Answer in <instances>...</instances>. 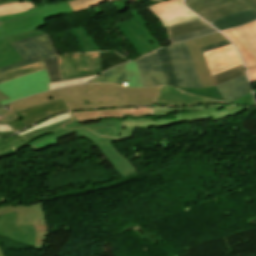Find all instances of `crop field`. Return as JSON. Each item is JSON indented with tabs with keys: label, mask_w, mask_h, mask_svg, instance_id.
<instances>
[{
	"label": "crop field",
	"mask_w": 256,
	"mask_h": 256,
	"mask_svg": "<svg viewBox=\"0 0 256 256\" xmlns=\"http://www.w3.org/2000/svg\"><path fill=\"white\" fill-rule=\"evenodd\" d=\"M121 119L101 120L99 123L83 125L75 128L64 129L60 132L41 137L26 146L35 150L57 145L56 140L65 137L74 132L78 136L88 139L94 144L91 147L98 146L112 165L121 175L136 172L135 165L120 155L112 142L118 141Z\"/></svg>",
	"instance_id": "crop-field-1"
},
{
	"label": "crop field",
	"mask_w": 256,
	"mask_h": 256,
	"mask_svg": "<svg viewBox=\"0 0 256 256\" xmlns=\"http://www.w3.org/2000/svg\"><path fill=\"white\" fill-rule=\"evenodd\" d=\"M31 1L0 6V39L46 26L44 20L72 13L69 4L57 3L36 9Z\"/></svg>",
	"instance_id": "crop-field-2"
},
{
	"label": "crop field",
	"mask_w": 256,
	"mask_h": 256,
	"mask_svg": "<svg viewBox=\"0 0 256 256\" xmlns=\"http://www.w3.org/2000/svg\"><path fill=\"white\" fill-rule=\"evenodd\" d=\"M249 108H243L234 105H205L186 108H174V111H181L172 118H127L122 119L119 141L132 138V130L134 127L139 128H164L179 125L181 123L196 122L204 119L210 121L223 119L235 115H239Z\"/></svg>",
	"instance_id": "crop-field-3"
},
{
	"label": "crop field",
	"mask_w": 256,
	"mask_h": 256,
	"mask_svg": "<svg viewBox=\"0 0 256 256\" xmlns=\"http://www.w3.org/2000/svg\"><path fill=\"white\" fill-rule=\"evenodd\" d=\"M160 87L125 88L113 84H89L88 93L115 92L119 93L121 102H98L90 103L89 100L68 103L69 110L95 108V107H118L142 104H157L160 95Z\"/></svg>",
	"instance_id": "crop-field-4"
},
{
	"label": "crop field",
	"mask_w": 256,
	"mask_h": 256,
	"mask_svg": "<svg viewBox=\"0 0 256 256\" xmlns=\"http://www.w3.org/2000/svg\"><path fill=\"white\" fill-rule=\"evenodd\" d=\"M88 84L70 87L66 89L55 90L51 92L41 93L37 96L29 97L10 104L16 111H21L30 107L48 103L62 98L64 103L89 99L90 102L98 101H120L119 95L114 93L104 94H86Z\"/></svg>",
	"instance_id": "crop-field-5"
},
{
	"label": "crop field",
	"mask_w": 256,
	"mask_h": 256,
	"mask_svg": "<svg viewBox=\"0 0 256 256\" xmlns=\"http://www.w3.org/2000/svg\"><path fill=\"white\" fill-rule=\"evenodd\" d=\"M11 45L25 61L0 69V74L41 62V57L58 54L47 33L11 43Z\"/></svg>",
	"instance_id": "crop-field-6"
},
{
	"label": "crop field",
	"mask_w": 256,
	"mask_h": 256,
	"mask_svg": "<svg viewBox=\"0 0 256 256\" xmlns=\"http://www.w3.org/2000/svg\"><path fill=\"white\" fill-rule=\"evenodd\" d=\"M185 4L207 21L250 8L256 11V0H185Z\"/></svg>",
	"instance_id": "crop-field-7"
},
{
	"label": "crop field",
	"mask_w": 256,
	"mask_h": 256,
	"mask_svg": "<svg viewBox=\"0 0 256 256\" xmlns=\"http://www.w3.org/2000/svg\"><path fill=\"white\" fill-rule=\"evenodd\" d=\"M61 80L99 74V54L84 53L58 56Z\"/></svg>",
	"instance_id": "crop-field-8"
},
{
	"label": "crop field",
	"mask_w": 256,
	"mask_h": 256,
	"mask_svg": "<svg viewBox=\"0 0 256 256\" xmlns=\"http://www.w3.org/2000/svg\"><path fill=\"white\" fill-rule=\"evenodd\" d=\"M18 210L17 225H35L36 241L35 249L43 250L48 236V225L46 215L43 211V204H32L29 206L17 205L15 207L5 206L0 208V214L10 213Z\"/></svg>",
	"instance_id": "crop-field-9"
},
{
	"label": "crop field",
	"mask_w": 256,
	"mask_h": 256,
	"mask_svg": "<svg viewBox=\"0 0 256 256\" xmlns=\"http://www.w3.org/2000/svg\"><path fill=\"white\" fill-rule=\"evenodd\" d=\"M170 53L178 87H202L186 43L167 46Z\"/></svg>",
	"instance_id": "crop-field-10"
},
{
	"label": "crop field",
	"mask_w": 256,
	"mask_h": 256,
	"mask_svg": "<svg viewBox=\"0 0 256 256\" xmlns=\"http://www.w3.org/2000/svg\"><path fill=\"white\" fill-rule=\"evenodd\" d=\"M49 79L46 71L37 72L0 84V91L11 98L0 101V105L10 101L48 90Z\"/></svg>",
	"instance_id": "crop-field-11"
},
{
	"label": "crop field",
	"mask_w": 256,
	"mask_h": 256,
	"mask_svg": "<svg viewBox=\"0 0 256 256\" xmlns=\"http://www.w3.org/2000/svg\"><path fill=\"white\" fill-rule=\"evenodd\" d=\"M222 32L236 45L247 67L256 66V21L244 27Z\"/></svg>",
	"instance_id": "crop-field-12"
},
{
	"label": "crop field",
	"mask_w": 256,
	"mask_h": 256,
	"mask_svg": "<svg viewBox=\"0 0 256 256\" xmlns=\"http://www.w3.org/2000/svg\"><path fill=\"white\" fill-rule=\"evenodd\" d=\"M70 114L73 118L64 120L62 122L56 123L46 128L39 129L22 136H19L17 134L10 138H0V159L7 155L17 153L22 147H24L25 144H27L32 140H35L38 137L70 127L71 123L77 122L72 112Z\"/></svg>",
	"instance_id": "crop-field-13"
},
{
	"label": "crop field",
	"mask_w": 256,
	"mask_h": 256,
	"mask_svg": "<svg viewBox=\"0 0 256 256\" xmlns=\"http://www.w3.org/2000/svg\"><path fill=\"white\" fill-rule=\"evenodd\" d=\"M184 7L182 0H169L148 6L149 10L159 18L164 27L198 18L195 14Z\"/></svg>",
	"instance_id": "crop-field-14"
},
{
	"label": "crop field",
	"mask_w": 256,
	"mask_h": 256,
	"mask_svg": "<svg viewBox=\"0 0 256 256\" xmlns=\"http://www.w3.org/2000/svg\"><path fill=\"white\" fill-rule=\"evenodd\" d=\"M223 40H226V38H224L220 33H216L186 42L203 87L212 86L214 84L200 48Z\"/></svg>",
	"instance_id": "crop-field-15"
},
{
	"label": "crop field",
	"mask_w": 256,
	"mask_h": 256,
	"mask_svg": "<svg viewBox=\"0 0 256 256\" xmlns=\"http://www.w3.org/2000/svg\"><path fill=\"white\" fill-rule=\"evenodd\" d=\"M211 75L242 65V61L233 45L204 52Z\"/></svg>",
	"instance_id": "crop-field-16"
},
{
	"label": "crop field",
	"mask_w": 256,
	"mask_h": 256,
	"mask_svg": "<svg viewBox=\"0 0 256 256\" xmlns=\"http://www.w3.org/2000/svg\"><path fill=\"white\" fill-rule=\"evenodd\" d=\"M16 212L0 216V235L34 247V226H16Z\"/></svg>",
	"instance_id": "crop-field-17"
},
{
	"label": "crop field",
	"mask_w": 256,
	"mask_h": 256,
	"mask_svg": "<svg viewBox=\"0 0 256 256\" xmlns=\"http://www.w3.org/2000/svg\"><path fill=\"white\" fill-rule=\"evenodd\" d=\"M144 86L166 85L161 63L157 52L136 60Z\"/></svg>",
	"instance_id": "crop-field-18"
},
{
	"label": "crop field",
	"mask_w": 256,
	"mask_h": 256,
	"mask_svg": "<svg viewBox=\"0 0 256 256\" xmlns=\"http://www.w3.org/2000/svg\"><path fill=\"white\" fill-rule=\"evenodd\" d=\"M64 110H68V108L65 106L62 99H60L48 104L18 112L22 119L10 125L13 130L18 131L50 114Z\"/></svg>",
	"instance_id": "crop-field-19"
},
{
	"label": "crop field",
	"mask_w": 256,
	"mask_h": 256,
	"mask_svg": "<svg viewBox=\"0 0 256 256\" xmlns=\"http://www.w3.org/2000/svg\"><path fill=\"white\" fill-rule=\"evenodd\" d=\"M138 25L140 24L135 19L117 24L133 48L142 56L156 50V47L148 40Z\"/></svg>",
	"instance_id": "crop-field-20"
},
{
	"label": "crop field",
	"mask_w": 256,
	"mask_h": 256,
	"mask_svg": "<svg viewBox=\"0 0 256 256\" xmlns=\"http://www.w3.org/2000/svg\"><path fill=\"white\" fill-rule=\"evenodd\" d=\"M210 102H217V101L202 98V97H194V96L185 94L183 92H180L174 88L163 86L158 104L189 105V104L210 103Z\"/></svg>",
	"instance_id": "crop-field-21"
},
{
	"label": "crop field",
	"mask_w": 256,
	"mask_h": 256,
	"mask_svg": "<svg viewBox=\"0 0 256 256\" xmlns=\"http://www.w3.org/2000/svg\"><path fill=\"white\" fill-rule=\"evenodd\" d=\"M226 102H233L250 92L246 75L216 85Z\"/></svg>",
	"instance_id": "crop-field-22"
},
{
	"label": "crop field",
	"mask_w": 256,
	"mask_h": 256,
	"mask_svg": "<svg viewBox=\"0 0 256 256\" xmlns=\"http://www.w3.org/2000/svg\"><path fill=\"white\" fill-rule=\"evenodd\" d=\"M39 34H43V32L35 30L23 35L0 40V68L23 61L20 55L13 49V47L9 43L29 38L32 36H36Z\"/></svg>",
	"instance_id": "crop-field-23"
},
{
	"label": "crop field",
	"mask_w": 256,
	"mask_h": 256,
	"mask_svg": "<svg viewBox=\"0 0 256 256\" xmlns=\"http://www.w3.org/2000/svg\"><path fill=\"white\" fill-rule=\"evenodd\" d=\"M253 20H256V12L251 9L248 11L226 16L209 22L218 29L223 30L251 22Z\"/></svg>",
	"instance_id": "crop-field-24"
},
{
	"label": "crop field",
	"mask_w": 256,
	"mask_h": 256,
	"mask_svg": "<svg viewBox=\"0 0 256 256\" xmlns=\"http://www.w3.org/2000/svg\"><path fill=\"white\" fill-rule=\"evenodd\" d=\"M78 122L100 119L123 118L122 109L73 112Z\"/></svg>",
	"instance_id": "crop-field-25"
},
{
	"label": "crop field",
	"mask_w": 256,
	"mask_h": 256,
	"mask_svg": "<svg viewBox=\"0 0 256 256\" xmlns=\"http://www.w3.org/2000/svg\"><path fill=\"white\" fill-rule=\"evenodd\" d=\"M207 27H210V26L207 23H205L203 20L198 18L180 25L168 27L166 28V30L169 38L172 36L192 32V31L207 28Z\"/></svg>",
	"instance_id": "crop-field-26"
},
{
	"label": "crop field",
	"mask_w": 256,
	"mask_h": 256,
	"mask_svg": "<svg viewBox=\"0 0 256 256\" xmlns=\"http://www.w3.org/2000/svg\"><path fill=\"white\" fill-rule=\"evenodd\" d=\"M105 73V72H104ZM98 82H109V83H124L127 86V79L125 73L124 64L118 66L114 69L108 70L105 74L99 76L89 83H98Z\"/></svg>",
	"instance_id": "crop-field-27"
},
{
	"label": "crop field",
	"mask_w": 256,
	"mask_h": 256,
	"mask_svg": "<svg viewBox=\"0 0 256 256\" xmlns=\"http://www.w3.org/2000/svg\"><path fill=\"white\" fill-rule=\"evenodd\" d=\"M158 53L160 55V59H161V63H162V67H163L167 85H172V86L177 87L171 59H170L169 53L167 51V48L165 47V48L158 50Z\"/></svg>",
	"instance_id": "crop-field-28"
},
{
	"label": "crop field",
	"mask_w": 256,
	"mask_h": 256,
	"mask_svg": "<svg viewBox=\"0 0 256 256\" xmlns=\"http://www.w3.org/2000/svg\"><path fill=\"white\" fill-rule=\"evenodd\" d=\"M100 53V73L110 67L117 66L128 60L122 58L115 52H99Z\"/></svg>",
	"instance_id": "crop-field-29"
},
{
	"label": "crop field",
	"mask_w": 256,
	"mask_h": 256,
	"mask_svg": "<svg viewBox=\"0 0 256 256\" xmlns=\"http://www.w3.org/2000/svg\"><path fill=\"white\" fill-rule=\"evenodd\" d=\"M73 34L82 47L83 51H100L98 47L94 44V42L91 40V38L86 33L84 27H79L72 29Z\"/></svg>",
	"instance_id": "crop-field-30"
},
{
	"label": "crop field",
	"mask_w": 256,
	"mask_h": 256,
	"mask_svg": "<svg viewBox=\"0 0 256 256\" xmlns=\"http://www.w3.org/2000/svg\"><path fill=\"white\" fill-rule=\"evenodd\" d=\"M44 69L45 68H44L42 62L35 64V65L28 66V67H24L21 69H17V70L0 75V83L23 76V75H27V74L34 73V72H37L40 70H44Z\"/></svg>",
	"instance_id": "crop-field-31"
},
{
	"label": "crop field",
	"mask_w": 256,
	"mask_h": 256,
	"mask_svg": "<svg viewBox=\"0 0 256 256\" xmlns=\"http://www.w3.org/2000/svg\"><path fill=\"white\" fill-rule=\"evenodd\" d=\"M42 60L45 65L50 82L53 83L61 81L58 71L57 56L42 58Z\"/></svg>",
	"instance_id": "crop-field-32"
},
{
	"label": "crop field",
	"mask_w": 256,
	"mask_h": 256,
	"mask_svg": "<svg viewBox=\"0 0 256 256\" xmlns=\"http://www.w3.org/2000/svg\"><path fill=\"white\" fill-rule=\"evenodd\" d=\"M178 89L193 95H199V96L208 97L214 100H220L225 102L214 86L208 87V88H198V89H188V88H178Z\"/></svg>",
	"instance_id": "crop-field-33"
},
{
	"label": "crop field",
	"mask_w": 256,
	"mask_h": 256,
	"mask_svg": "<svg viewBox=\"0 0 256 256\" xmlns=\"http://www.w3.org/2000/svg\"><path fill=\"white\" fill-rule=\"evenodd\" d=\"M244 74H245V71L242 65V66L230 69L228 71L213 75L212 77H213L214 84L216 85Z\"/></svg>",
	"instance_id": "crop-field-34"
},
{
	"label": "crop field",
	"mask_w": 256,
	"mask_h": 256,
	"mask_svg": "<svg viewBox=\"0 0 256 256\" xmlns=\"http://www.w3.org/2000/svg\"><path fill=\"white\" fill-rule=\"evenodd\" d=\"M125 67H126V73H127V79H128V86L130 87L143 86L140 80V76L137 70L135 60L130 63H126Z\"/></svg>",
	"instance_id": "crop-field-35"
},
{
	"label": "crop field",
	"mask_w": 256,
	"mask_h": 256,
	"mask_svg": "<svg viewBox=\"0 0 256 256\" xmlns=\"http://www.w3.org/2000/svg\"><path fill=\"white\" fill-rule=\"evenodd\" d=\"M112 0H74V1H70L68 2L71 6V8L73 9V11H79L82 9H86L92 6H96L102 3H106Z\"/></svg>",
	"instance_id": "crop-field-36"
},
{
	"label": "crop field",
	"mask_w": 256,
	"mask_h": 256,
	"mask_svg": "<svg viewBox=\"0 0 256 256\" xmlns=\"http://www.w3.org/2000/svg\"><path fill=\"white\" fill-rule=\"evenodd\" d=\"M212 32H216V30H214L212 27H210V28H207V29H204V30H200V31H196V32H192V33H188V34H184V35L169 38V41H170L171 44H173V43H176V42H180V41L200 37V36L212 33Z\"/></svg>",
	"instance_id": "crop-field-37"
},
{
	"label": "crop field",
	"mask_w": 256,
	"mask_h": 256,
	"mask_svg": "<svg viewBox=\"0 0 256 256\" xmlns=\"http://www.w3.org/2000/svg\"><path fill=\"white\" fill-rule=\"evenodd\" d=\"M132 110V111H131ZM153 107L145 108H124L123 116L126 117H144L152 116Z\"/></svg>",
	"instance_id": "crop-field-38"
},
{
	"label": "crop field",
	"mask_w": 256,
	"mask_h": 256,
	"mask_svg": "<svg viewBox=\"0 0 256 256\" xmlns=\"http://www.w3.org/2000/svg\"><path fill=\"white\" fill-rule=\"evenodd\" d=\"M130 13L141 24V26H140L141 29L144 31V33L147 35V37L150 39V41L155 44L157 49L161 48L162 46L160 45V43L156 40V38L151 34V32L145 26L148 24V22L138 13L137 10L131 11Z\"/></svg>",
	"instance_id": "crop-field-39"
},
{
	"label": "crop field",
	"mask_w": 256,
	"mask_h": 256,
	"mask_svg": "<svg viewBox=\"0 0 256 256\" xmlns=\"http://www.w3.org/2000/svg\"><path fill=\"white\" fill-rule=\"evenodd\" d=\"M70 117H71V116H70L69 113L57 115V116H54V117H52V118H50V119H48V120H46V121H44V122H42V123H40V124L34 126V127H31V128H29V129H27V130H25V131H23V132H20V133H18V134H19V135H22V134H25V133L34 131V130H36V129L43 128V127H45V126L51 125V124H53V123L62 121V120H64V119L70 118Z\"/></svg>",
	"instance_id": "crop-field-40"
},
{
	"label": "crop field",
	"mask_w": 256,
	"mask_h": 256,
	"mask_svg": "<svg viewBox=\"0 0 256 256\" xmlns=\"http://www.w3.org/2000/svg\"><path fill=\"white\" fill-rule=\"evenodd\" d=\"M94 77H96V76L73 79V80L59 82V83L48 84V87H49V90H52V89H58V88L73 86V85H77V84H80V83L87 82V81L91 80Z\"/></svg>",
	"instance_id": "crop-field-41"
},
{
	"label": "crop field",
	"mask_w": 256,
	"mask_h": 256,
	"mask_svg": "<svg viewBox=\"0 0 256 256\" xmlns=\"http://www.w3.org/2000/svg\"><path fill=\"white\" fill-rule=\"evenodd\" d=\"M10 109H12V108L10 107ZM0 116H1L0 117L1 124L11 123V122H14V121L20 119L18 114L13 109H12V111H8V112H5L4 110H0Z\"/></svg>",
	"instance_id": "crop-field-42"
},
{
	"label": "crop field",
	"mask_w": 256,
	"mask_h": 256,
	"mask_svg": "<svg viewBox=\"0 0 256 256\" xmlns=\"http://www.w3.org/2000/svg\"><path fill=\"white\" fill-rule=\"evenodd\" d=\"M234 103L241 104V105H247V106H256L251 93H249L246 96L242 97L241 99L235 101Z\"/></svg>",
	"instance_id": "crop-field-43"
},
{
	"label": "crop field",
	"mask_w": 256,
	"mask_h": 256,
	"mask_svg": "<svg viewBox=\"0 0 256 256\" xmlns=\"http://www.w3.org/2000/svg\"><path fill=\"white\" fill-rule=\"evenodd\" d=\"M171 111H173V109H171V108L154 107L153 116L154 117H163L164 115L168 114Z\"/></svg>",
	"instance_id": "crop-field-44"
},
{
	"label": "crop field",
	"mask_w": 256,
	"mask_h": 256,
	"mask_svg": "<svg viewBox=\"0 0 256 256\" xmlns=\"http://www.w3.org/2000/svg\"><path fill=\"white\" fill-rule=\"evenodd\" d=\"M226 45H230L228 40L205 47V48H202V51L204 52V51L212 50V49L219 48V47L226 46Z\"/></svg>",
	"instance_id": "crop-field-45"
},
{
	"label": "crop field",
	"mask_w": 256,
	"mask_h": 256,
	"mask_svg": "<svg viewBox=\"0 0 256 256\" xmlns=\"http://www.w3.org/2000/svg\"><path fill=\"white\" fill-rule=\"evenodd\" d=\"M248 72H249V77H250L251 83L256 82V67L249 69Z\"/></svg>",
	"instance_id": "crop-field-46"
},
{
	"label": "crop field",
	"mask_w": 256,
	"mask_h": 256,
	"mask_svg": "<svg viewBox=\"0 0 256 256\" xmlns=\"http://www.w3.org/2000/svg\"><path fill=\"white\" fill-rule=\"evenodd\" d=\"M13 131L9 124L0 125V132Z\"/></svg>",
	"instance_id": "crop-field-47"
},
{
	"label": "crop field",
	"mask_w": 256,
	"mask_h": 256,
	"mask_svg": "<svg viewBox=\"0 0 256 256\" xmlns=\"http://www.w3.org/2000/svg\"><path fill=\"white\" fill-rule=\"evenodd\" d=\"M9 98L8 96H6L5 94H3L2 92H0V100H4Z\"/></svg>",
	"instance_id": "crop-field-48"
},
{
	"label": "crop field",
	"mask_w": 256,
	"mask_h": 256,
	"mask_svg": "<svg viewBox=\"0 0 256 256\" xmlns=\"http://www.w3.org/2000/svg\"><path fill=\"white\" fill-rule=\"evenodd\" d=\"M11 1H17V0H0V4H2V3H7V2H11Z\"/></svg>",
	"instance_id": "crop-field-49"
},
{
	"label": "crop field",
	"mask_w": 256,
	"mask_h": 256,
	"mask_svg": "<svg viewBox=\"0 0 256 256\" xmlns=\"http://www.w3.org/2000/svg\"><path fill=\"white\" fill-rule=\"evenodd\" d=\"M0 256H5V253L0 249Z\"/></svg>",
	"instance_id": "crop-field-50"
},
{
	"label": "crop field",
	"mask_w": 256,
	"mask_h": 256,
	"mask_svg": "<svg viewBox=\"0 0 256 256\" xmlns=\"http://www.w3.org/2000/svg\"><path fill=\"white\" fill-rule=\"evenodd\" d=\"M152 1H159V2H161L162 0H152Z\"/></svg>",
	"instance_id": "crop-field-51"
},
{
	"label": "crop field",
	"mask_w": 256,
	"mask_h": 256,
	"mask_svg": "<svg viewBox=\"0 0 256 256\" xmlns=\"http://www.w3.org/2000/svg\"><path fill=\"white\" fill-rule=\"evenodd\" d=\"M253 93L256 94V90H254Z\"/></svg>",
	"instance_id": "crop-field-52"
}]
</instances>
